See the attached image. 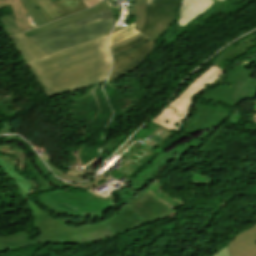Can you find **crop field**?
<instances>
[{
  "instance_id": "8a807250",
  "label": "crop field",
  "mask_w": 256,
  "mask_h": 256,
  "mask_svg": "<svg viewBox=\"0 0 256 256\" xmlns=\"http://www.w3.org/2000/svg\"><path fill=\"white\" fill-rule=\"evenodd\" d=\"M109 36V35H108ZM108 36L48 56L22 33L9 36L48 98L95 85L111 67Z\"/></svg>"
},
{
  "instance_id": "ac0d7876",
  "label": "crop field",
  "mask_w": 256,
  "mask_h": 256,
  "mask_svg": "<svg viewBox=\"0 0 256 256\" xmlns=\"http://www.w3.org/2000/svg\"><path fill=\"white\" fill-rule=\"evenodd\" d=\"M251 74V70L236 65L229 71L227 85L209 89L199 96L195 102V114L189 119L187 128L131 179L128 185L140 191L147 188L164 165L183 159L185 153L204 146L231 113L222 106L203 107L201 99L215 103L221 101L222 104L232 103L234 107L244 100L254 99L256 80L252 79Z\"/></svg>"
},
{
  "instance_id": "34b2d1b8",
  "label": "crop field",
  "mask_w": 256,
  "mask_h": 256,
  "mask_svg": "<svg viewBox=\"0 0 256 256\" xmlns=\"http://www.w3.org/2000/svg\"><path fill=\"white\" fill-rule=\"evenodd\" d=\"M116 23L111 10L61 28L28 37L48 55L82 42L108 35Z\"/></svg>"
},
{
  "instance_id": "412701ff",
  "label": "crop field",
  "mask_w": 256,
  "mask_h": 256,
  "mask_svg": "<svg viewBox=\"0 0 256 256\" xmlns=\"http://www.w3.org/2000/svg\"><path fill=\"white\" fill-rule=\"evenodd\" d=\"M36 198L57 214L93 219L106 216L116 202L100 199L88 191H54L38 195Z\"/></svg>"
},
{
  "instance_id": "f4fd0767",
  "label": "crop field",
  "mask_w": 256,
  "mask_h": 256,
  "mask_svg": "<svg viewBox=\"0 0 256 256\" xmlns=\"http://www.w3.org/2000/svg\"><path fill=\"white\" fill-rule=\"evenodd\" d=\"M204 74L194 79L188 86L187 91L178 99L172 101L159 114L150 121L161 125L178 134L183 124V119L190 112L192 99L213 83L223 82L225 72L212 65Z\"/></svg>"
},
{
  "instance_id": "dd49c442",
  "label": "crop field",
  "mask_w": 256,
  "mask_h": 256,
  "mask_svg": "<svg viewBox=\"0 0 256 256\" xmlns=\"http://www.w3.org/2000/svg\"><path fill=\"white\" fill-rule=\"evenodd\" d=\"M27 203L34 216V224L42 235L33 238L38 243L76 244L73 236L108 229L106 223L91 226H72L64 220L55 218L42 209L32 199Z\"/></svg>"
},
{
  "instance_id": "e52e79f7",
  "label": "crop field",
  "mask_w": 256,
  "mask_h": 256,
  "mask_svg": "<svg viewBox=\"0 0 256 256\" xmlns=\"http://www.w3.org/2000/svg\"><path fill=\"white\" fill-rule=\"evenodd\" d=\"M172 212L161 202L142 193L122 208L120 214L106 223L118 236L140 225L155 222Z\"/></svg>"
},
{
  "instance_id": "d8731c3e",
  "label": "crop field",
  "mask_w": 256,
  "mask_h": 256,
  "mask_svg": "<svg viewBox=\"0 0 256 256\" xmlns=\"http://www.w3.org/2000/svg\"><path fill=\"white\" fill-rule=\"evenodd\" d=\"M180 0H146V22L140 32L158 40L175 21Z\"/></svg>"
},
{
  "instance_id": "5a996713",
  "label": "crop field",
  "mask_w": 256,
  "mask_h": 256,
  "mask_svg": "<svg viewBox=\"0 0 256 256\" xmlns=\"http://www.w3.org/2000/svg\"><path fill=\"white\" fill-rule=\"evenodd\" d=\"M154 47L155 41L151 40L122 56L114 58L109 81L119 79L142 65L149 57L150 53L154 50Z\"/></svg>"
},
{
  "instance_id": "3316defc",
  "label": "crop field",
  "mask_w": 256,
  "mask_h": 256,
  "mask_svg": "<svg viewBox=\"0 0 256 256\" xmlns=\"http://www.w3.org/2000/svg\"><path fill=\"white\" fill-rule=\"evenodd\" d=\"M4 138H7L9 140L23 142L32 152L33 156H31L27 162V165L30 167L28 171L32 173L33 176L37 177L39 179L40 187L37 191V193L57 189V188H64L68 187L69 185L55 179L51 173L48 171V169L44 166L40 158L37 156V154L34 152V150L20 137L18 136H2Z\"/></svg>"
},
{
  "instance_id": "28ad6ade",
  "label": "crop field",
  "mask_w": 256,
  "mask_h": 256,
  "mask_svg": "<svg viewBox=\"0 0 256 256\" xmlns=\"http://www.w3.org/2000/svg\"><path fill=\"white\" fill-rule=\"evenodd\" d=\"M231 256H256V223L229 243Z\"/></svg>"
},
{
  "instance_id": "d1516ede",
  "label": "crop field",
  "mask_w": 256,
  "mask_h": 256,
  "mask_svg": "<svg viewBox=\"0 0 256 256\" xmlns=\"http://www.w3.org/2000/svg\"><path fill=\"white\" fill-rule=\"evenodd\" d=\"M213 0H182V5L179 10L178 25L184 27L196 17L200 16L205 10H207Z\"/></svg>"
},
{
  "instance_id": "22f410ed",
  "label": "crop field",
  "mask_w": 256,
  "mask_h": 256,
  "mask_svg": "<svg viewBox=\"0 0 256 256\" xmlns=\"http://www.w3.org/2000/svg\"><path fill=\"white\" fill-rule=\"evenodd\" d=\"M106 10H109V7L107 6L105 1L103 0L99 5L93 7L89 10L83 11L79 14L72 15V16H69V17H66V18H63V19H60V20H57V21H55L51 24H48V25H45V26H42V27H39V28H35V29L29 30L27 32H23V34L26 37L31 36V35H35V34L44 32V31L52 29V28H56V27H60L62 25L70 24L72 22L78 21V20H80L82 18H85L87 16L97 14V13H100V12H103V11H106Z\"/></svg>"
},
{
  "instance_id": "cbeb9de0",
  "label": "crop field",
  "mask_w": 256,
  "mask_h": 256,
  "mask_svg": "<svg viewBox=\"0 0 256 256\" xmlns=\"http://www.w3.org/2000/svg\"><path fill=\"white\" fill-rule=\"evenodd\" d=\"M14 162L7 156H0V169L4 171L18 186L23 197L30 196V190L35 186L30 181L22 178L14 170Z\"/></svg>"
},
{
  "instance_id": "5142ce71",
  "label": "crop field",
  "mask_w": 256,
  "mask_h": 256,
  "mask_svg": "<svg viewBox=\"0 0 256 256\" xmlns=\"http://www.w3.org/2000/svg\"><path fill=\"white\" fill-rule=\"evenodd\" d=\"M11 5L19 29L26 31L35 27L20 0H0V8Z\"/></svg>"
},
{
  "instance_id": "d9b57169",
  "label": "crop field",
  "mask_w": 256,
  "mask_h": 256,
  "mask_svg": "<svg viewBox=\"0 0 256 256\" xmlns=\"http://www.w3.org/2000/svg\"><path fill=\"white\" fill-rule=\"evenodd\" d=\"M28 238L30 237L26 231L10 235L7 237H0V252L11 251L22 248L24 246L34 245L35 243H33Z\"/></svg>"
},
{
  "instance_id": "733c2abd",
  "label": "crop field",
  "mask_w": 256,
  "mask_h": 256,
  "mask_svg": "<svg viewBox=\"0 0 256 256\" xmlns=\"http://www.w3.org/2000/svg\"><path fill=\"white\" fill-rule=\"evenodd\" d=\"M139 33L135 30V23L128 25L126 27H123L122 29L112 33L110 39H109V46L117 43L123 39H126L130 36H133L135 34Z\"/></svg>"
},
{
  "instance_id": "4a817a6b",
  "label": "crop field",
  "mask_w": 256,
  "mask_h": 256,
  "mask_svg": "<svg viewBox=\"0 0 256 256\" xmlns=\"http://www.w3.org/2000/svg\"><path fill=\"white\" fill-rule=\"evenodd\" d=\"M30 14L33 22L35 23L36 27L48 23V21L43 17L41 12L38 10V8L34 5V3L31 0H21Z\"/></svg>"
},
{
  "instance_id": "bc2a9ffb",
  "label": "crop field",
  "mask_w": 256,
  "mask_h": 256,
  "mask_svg": "<svg viewBox=\"0 0 256 256\" xmlns=\"http://www.w3.org/2000/svg\"><path fill=\"white\" fill-rule=\"evenodd\" d=\"M136 30L140 31L145 22V0L135 2Z\"/></svg>"
},
{
  "instance_id": "214f88e0",
  "label": "crop field",
  "mask_w": 256,
  "mask_h": 256,
  "mask_svg": "<svg viewBox=\"0 0 256 256\" xmlns=\"http://www.w3.org/2000/svg\"><path fill=\"white\" fill-rule=\"evenodd\" d=\"M128 137L122 136L120 138H117L113 141L108 142L102 149L101 154H103L105 157H108L110 154H112Z\"/></svg>"
},
{
  "instance_id": "92a150f3",
  "label": "crop field",
  "mask_w": 256,
  "mask_h": 256,
  "mask_svg": "<svg viewBox=\"0 0 256 256\" xmlns=\"http://www.w3.org/2000/svg\"><path fill=\"white\" fill-rule=\"evenodd\" d=\"M148 39H150V38L145 36V35H143V36H141V37H139V38H137V39L127 43V44H124L122 46H119V47L111 50V53L114 56V55H116V54H118L120 52H123L125 50L130 49V48H133V47L137 46L138 44H140V43H142V42H144V41H146Z\"/></svg>"
},
{
  "instance_id": "dafd665d",
  "label": "crop field",
  "mask_w": 256,
  "mask_h": 256,
  "mask_svg": "<svg viewBox=\"0 0 256 256\" xmlns=\"http://www.w3.org/2000/svg\"><path fill=\"white\" fill-rule=\"evenodd\" d=\"M117 196L123 198V200H124V202L119 205L120 209H121L122 207H124L126 204H128L133 198H135L138 195L126 187L122 191L117 192Z\"/></svg>"
},
{
  "instance_id": "00972430",
  "label": "crop field",
  "mask_w": 256,
  "mask_h": 256,
  "mask_svg": "<svg viewBox=\"0 0 256 256\" xmlns=\"http://www.w3.org/2000/svg\"><path fill=\"white\" fill-rule=\"evenodd\" d=\"M109 178L101 175L99 176L98 178L94 179L93 181H90V182H86V183H78V184H74V183H71L73 185H77V186H83L85 188L87 187H92L94 185H97L98 183L102 182L103 180H108Z\"/></svg>"
},
{
  "instance_id": "a9b5d70f",
  "label": "crop field",
  "mask_w": 256,
  "mask_h": 256,
  "mask_svg": "<svg viewBox=\"0 0 256 256\" xmlns=\"http://www.w3.org/2000/svg\"><path fill=\"white\" fill-rule=\"evenodd\" d=\"M0 21L2 22V24L10 25V26H13V27L17 28L12 13L1 17Z\"/></svg>"
},
{
  "instance_id": "4177f3b9",
  "label": "crop field",
  "mask_w": 256,
  "mask_h": 256,
  "mask_svg": "<svg viewBox=\"0 0 256 256\" xmlns=\"http://www.w3.org/2000/svg\"><path fill=\"white\" fill-rule=\"evenodd\" d=\"M4 125L5 127L2 128V126L0 125V135L1 134H4V133H11V134H14L12 129H11V126L10 124L4 122Z\"/></svg>"
},
{
  "instance_id": "730fd06b",
  "label": "crop field",
  "mask_w": 256,
  "mask_h": 256,
  "mask_svg": "<svg viewBox=\"0 0 256 256\" xmlns=\"http://www.w3.org/2000/svg\"><path fill=\"white\" fill-rule=\"evenodd\" d=\"M141 35H143V34L139 33V34H137V35H135V36H133V37H130V38L126 39V40H123V41H121V42H119V43H117V44H114V45L110 46L109 48H110V50H111V49H113V48H115V47H117V46H119V45H122V44H124V43H127V42H129V41H131V40H133V39H135V38L141 36Z\"/></svg>"
},
{
  "instance_id": "eef30255",
  "label": "crop field",
  "mask_w": 256,
  "mask_h": 256,
  "mask_svg": "<svg viewBox=\"0 0 256 256\" xmlns=\"http://www.w3.org/2000/svg\"><path fill=\"white\" fill-rule=\"evenodd\" d=\"M212 256H229L227 246H225L224 248H222L221 250H219L217 253H215Z\"/></svg>"
},
{
  "instance_id": "ae1a2a85",
  "label": "crop field",
  "mask_w": 256,
  "mask_h": 256,
  "mask_svg": "<svg viewBox=\"0 0 256 256\" xmlns=\"http://www.w3.org/2000/svg\"><path fill=\"white\" fill-rule=\"evenodd\" d=\"M101 0H83V3L86 5L87 8L96 5Z\"/></svg>"
},
{
  "instance_id": "d3111659",
  "label": "crop field",
  "mask_w": 256,
  "mask_h": 256,
  "mask_svg": "<svg viewBox=\"0 0 256 256\" xmlns=\"http://www.w3.org/2000/svg\"><path fill=\"white\" fill-rule=\"evenodd\" d=\"M255 60H256V58H253V59H245V60H243V61L241 62V64H239V65L248 68V67H247V64H249V63H251V62H253V61H255ZM254 66H255V65H254ZM254 66L250 67L249 69L253 68Z\"/></svg>"
},
{
  "instance_id": "750c4746",
  "label": "crop field",
  "mask_w": 256,
  "mask_h": 256,
  "mask_svg": "<svg viewBox=\"0 0 256 256\" xmlns=\"http://www.w3.org/2000/svg\"><path fill=\"white\" fill-rule=\"evenodd\" d=\"M33 2L35 3V5L40 9V11L43 13V15L45 16V18L51 22V20L47 17V15L44 13V11L41 9V7L37 4V2L35 0H33Z\"/></svg>"
},
{
  "instance_id": "bd1437ed",
  "label": "crop field",
  "mask_w": 256,
  "mask_h": 256,
  "mask_svg": "<svg viewBox=\"0 0 256 256\" xmlns=\"http://www.w3.org/2000/svg\"><path fill=\"white\" fill-rule=\"evenodd\" d=\"M134 15V9L129 8V15L126 16V21L130 20V16Z\"/></svg>"
},
{
  "instance_id": "1d83c4d3",
  "label": "crop field",
  "mask_w": 256,
  "mask_h": 256,
  "mask_svg": "<svg viewBox=\"0 0 256 256\" xmlns=\"http://www.w3.org/2000/svg\"><path fill=\"white\" fill-rule=\"evenodd\" d=\"M219 1H224V0H219Z\"/></svg>"
},
{
  "instance_id": "120bbe31",
  "label": "crop field",
  "mask_w": 256,
  "mask_h": 256,
  "mask_svg": "<svg viewBox=\"0 0 256 256\" xmlns=\"http://www.w3.org/2000/svg\"><path fill=\"white\" fill-rule=\"evenodd\" d=\"M53 1H56V0H53ZM81 1V0H80Z\"/></svg>"
}]
</instances>
